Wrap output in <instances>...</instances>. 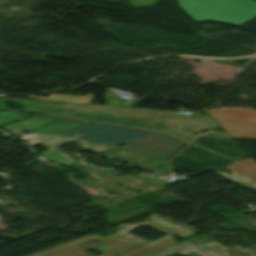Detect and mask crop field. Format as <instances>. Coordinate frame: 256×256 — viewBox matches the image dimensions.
I'll return each instance as SVG.
<instances>
[{"label": "crop field", "instance_id": "8a807250", "mask_svg": "<svg viewBox=\"0 0 256 256\" xmlns=\"http://www.w3.org/2000/svg\"><path fill=\"white\" fill-rule=\"evenodd\" d=\"M41 113L155 131L188 144L199 137L198 132L217 126L209 116L188 119L171 111L96 104L66 103Z\"/></svg>", "mask_w": 256, "mask_h": 256}, {"label": "crop field", "instance_id": "ac0d7876", "mask_svg": "<svg viewBox=\"0 0 256 256\" xmlns=\"http://www.w3.org/2000/svg\"><path fill=\"white\" fill-rule=\"evenodd\" d=\"M152 221L172 230L173 234L157 239L153 242H149L142 238L129 234L130 231L145 225H149L165 234L171 233L166 228L148 220L138 225H121L117 227L118 233L109 237H100L98 235H91L89 237H82L76 240H72L58 246L43 250L41 252L32 254L30 256H93L85 254V251L89 249H96L102 253V256H148L178 242L174 241L172 235L179 234L182 238H185L195 232L160 219L152 214L149 218ZM88 244H97L98 248H88Z\"/></svg>", "mask_w": 256, "mask_h": 256}, {"label": "crop field", "instance_id": "34b2d1b8", "mask_svg": "<svg viewBox=\"0 0 256 256\" xmlns=\"http://www.w3.org/2000/svg\"><path fill=\"white\" fill-rule=\"evenodd\" d=\"M150 134H153V132L130 130L92 123L37 144L55 147L72 140H78L84 143L81 148L102 152Z\"/></svg>", "mask_w": 256, "mask_h": 256}, {"label": "crop field", "instance_id": "412701ff", "mask_svg": "<svg viewBox=\"0 0 256 256\" xmlns=\"http://www.w3.org/2000/svg\"><path fill=\"white\" fill-rule=\"evenodd\" d=\"M126 145L127 146L124 148L118 147L107 151L103 153V156L106 159L111 160L120 156L119 153L130 149L136 153L128 152L124 157H120L130 163L139 164L137 166L138 169L165 173L167 170H162L160 167H162L163 163H167V160L181 150L186 144L155 133ZM151 158H155L163 163L156 162Z\"/></svg>", "mask_w": 256, "mask_h": 256}, {"label": "crop field", "instance_id": "f4fd0767", "mask_svg": "<svg viewBox=\"0 0 256 256\" xmlns=\"http://www.w3.org/2000/svg\"><path fill=\"white\" fill-rule=\"evenodd\" d=\"M196 22L212 20L240 25L256 16L253 0H177Z\"/></svg>", "mask_w": 256, "mask_h": 256}, {"label": "crop field", "instance_id": "dd49c442", "mask_svg": "<svg viewBox=\"0 0 256 256\" xmlns=\"http://www.w3.org/2000/svg\"><path fill=\"white\" fill-rule=\"evenodd\" d=\"M89 123L91 122L53 116L33 115L2 127L14 134L26 130L32 132L18 138L19 140L32 145Z\"/></svg>", "mask_w": 256, "mask_h": 256}, {"label": "crop field", "instance_id": "e52e79f7", "mask_svg": "<svg viewBox=\"0 0 256 256\" xmlns=\"http://www.w3.org/2000/svg\"><path fill=\"white\" fill-rule=\"evenodd\" d=\"M206 112L233 139L256 140V110L252 108H216Z\"/></svg>", "mask_w": 256, "mask_h": 256}, {"label": "crop field", "instance_id": "d8731c3e", "mask_svg": "<svg viewBox=\"0 0 256 256\" xmlns=\"http://www.w3.org/2000/svg\"><path fill=\"white\" fill-rule=\"evenodd\" d=\"M233 173L216 172V174L239 185L256 188V163L248 157L226 165Z\"/></svg>", "mask_w": 256, "mask_h": 256}, {"label": "crop field", "instance_id": "5a996713", "mask_svg": "<svg viewBox=\"0 0 256 256\" xmlns=\"http://www.w3.org/2000/svg\"><path fill=\"white\" fill-rule=\"evenodd\" d=\"M205 238H207L208 240L212 241V244H214L215 246L219 247L220 249H222L223 251H221L220 249L216 248L215 246L211 245L210 243L209 244H205L207 246H209L210 248L214 249L215 251L221 253L222 255L224 256H227L228 254V248H226L225 246L221 245L220 243H218L217 241L213 240L212 238L202 234ZM192 246L198 248L199 250L205 252L206 254L210 255V256H221L220 254L214 252L213 250L203 246L202 244L201 245H194L192 243H190L188 240L182 242V243H179L175 246H172L168 249H165L163 251H160L158 253H155L153 255H150V256H166L168 254H171V253H176V252H179V253H182V254H187L191 251H194L202 256H208L206 254H204L203 252L193 248Z\"/></svg>", "mask_w": 256, "mask_h": 256}, {"label": "crop field", "instance_id": "3316defc", "mask_svg": "<svg viewBox=\"0 0 256 256\" xmlns=\"http://www.w3.org/2000/svg\"><path fill=\"white\" fill-rule=\"evenodd\" d=\"M69 96V97H67ZM92 94H87V96H73L70 94H50L49 98L47 97H38V96H29L28 98L32 99H42V100H52V101H62V102H78V103H91ZM78 99V101H76Z\"/></svg>", "mask_w": 256, "mask_h": 256}, {"label": "crop field", "instance_id": "28ad6ade", "mask_svg": "<svg viewBox=\"0 0 256 256\" xmlns=\"http://www.w3.org/2000/svg\"><path fill=\"white\" fill-rule=\"evenodd\" d=\"M46 156L52 157L64 164H68L71 163L73 161H76L75 159L65 155L64 153L58 151V150H54V149H50L48 151H46L45 153H43Z\"/></svg>", "mask_w": 256, "mask_h": 256}, {"label": "crop field", "instance_id": "d1516ede", "mask_svg": "<svg viewBox=\"0 0 256 256\" xmlns=\"http://www.w3.org/2000/svg\"><path fill=\"white\" fill-rule=\"evenodd\" d=\"M203 136H205V137H214V138L231 139L226 133L215 132V131H211V132H209V133H207V134H205Z\"/></svg>", "mask_w": 256, "mask_h": 256}]
</instances>
